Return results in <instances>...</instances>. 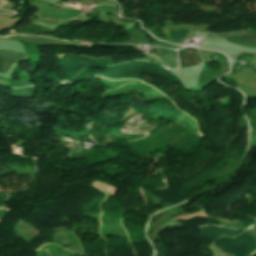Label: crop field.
I'll return each mask as SVG.
<instances>
[{
    "instance_id": "crop-field-7",
    "label": "crop field",
    "mask_w": 256,
    "mask_h": 256,
    "mask_svg": "<svg viewBox=\"0 0 256 256\" xmlns=\"http://www.w3.org/2000/svg\"><path fill=\"white\" fill-rule=\"evenodd\" d=\"M116 191H117V189H115L113 187H111L110 189L107 190V192H110L111 195H114Z\"/></svg>"
},
{
    "instance_id": "crop-field-3",
    "label": "crop field",
    "mask_w": 256,
    "mask_h": 256,
    "mask_svg": "<svg viewBox=\"0 0 256 256\" xmlns=\"http://www.w3.org/2000/svg\"><path fill=\"white\" fill-rule=\"evenodd\" d=\"M144 56H146L147 58L156 61L164 66L170 67V68H177L178 67V63H175L174 61L158 54V53H142Z\"/></svg>"
},
{
    "instance_id": "crop-field-5",
    "label": "crop field",
    "mask_w": 256,
    "mask_h": 256,
    "mask_svg": "<svg viewBox=\"0 0 256 256\" xmlns=\"http://www.w3.org/2000/svg\"><path fill=\"white\" fill-rule=\"evenodd\" d=\"M239 37L245 38V39H248V40H252V41H255V42H256V37L250 36V35H248V34L241 35V36H239Z\"/></svg>"
},
{
    "instance_id": "crop-field-8",
    "label": "crop field",
    "mask_w": 256,
    "mask_h": 256,
    "mask_svg": "<svg viewBox=\"0 0 256 256\" xmlns=\"http://www.w3.org/2000/svg\"><path fill=\"white\" fill-rule=\"evenodd\" d=\"M0 216H3V215L0 214Z\"/></svg>"
},
{
    "instance_id": "crop-field-6",
    "label": "crop field",
    "mask_w": 256,
    "mask_h": 256,
    "mask_svg": "<svg viewBox=\"0 0 256 256\" xmlns=\"http://www.w3.org/2000/svg\"><path fill=\"white\" fill-rule=\"evenodd\" d=\"M158 45H165V46H169L170 48H175V47H179L181 48V46H176V45H172V44H168V43H157Z\"/></svg>"
},
{
    "instance_id": "crop-field-1",
    "label": "crop field",
    "mask_w": 256,
    "mask_h": 256,
    "mask_svg": "<svg viewBox=\"0 0 256 256\" xmlns=\"http://www.w3.org/2000/svg\"><path fill=\"white\" fill-rule=\"evenodd\" d=\"M0 57L12 59V60H18V61L26 60L27 58L25 53L4 51V50H0ZM11 62L18 63L17 61H11V60L0 58V73L6 74Z\"/></svg>"
},
{
    "instance_id": "crop-field-2",
    "label": "crop field",
    "mask_w": 256,
    "mask_h": 256,
    "mask_svg": "<svg viewBox=\"0 0 256 256\" xmlns=\"http://www.w3.org/2000/svg\"><path fill=\"white\" fill-rule=\"evenodd\" d=\"M181 68L196 65L197 48L187 47L186 52L178 51Z\"/></svg>"
},
{
    "instance_id": "crop-field-4",
    "label": "crop field",
    "mask_w": 256,
    "mask_h": 256,
    "mask_svg": "<svg viewBox=\"0 0 256 256\" xmlns=\"http://www.w3.org/2000/svg\"><path fill=\"white\" fill-rule=\"evenodd\" d=\"M188 31H190V29L177 28L174 29L173 32H169V34L172 37L174 43H179L182 41L183 37L186 35Z\"/></svg>"
}]
</instances>
